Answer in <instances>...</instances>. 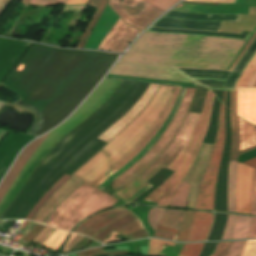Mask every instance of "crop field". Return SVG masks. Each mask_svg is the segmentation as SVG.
Instances as JSON below:
<instances>
[{
    "label": "crop field",
    "instance_id": "obj_3",
    "mask_svg": "<svg viewBox=\"0 0 256 256\" xmlns=\"http://www.w3.org/2000/svg\"><path fill=\"white\" fill-rule=\"evenodd\" d=\"M116 202L110 195L83 182L55 209L45 224L70 231L84 217Z\"/></svg>",
    "mask_w": 256,
    "mask_h": 256
},
{
    "label": "crop field",
    "instance_id": "obj_48",
    "mask_svg": "<svg viewBox=\"0 0 256 256\" xmlns=\"http://www.w3.org/2000/svg\"><path fill=\"white\" fill-rule=\"evenodd\" d=\"M248 238H256V218L252 217Z\"/></svg>",
    "mask_w": 256,
    "mask_h": 256
},
{
    "label": "crop field",
    "instance_id": "obj_31",
    "mask_svg": "<svg viewBox=\"0 0 256 256\" xmlns=\"http://www.w3.org/2000/svg\"><path fill=\"white\" fill-rule=\"evenodd\" d=\"M193 213H194V211H187L186 212L183 227H182L181 233L178 236L177 240L187 241L188 235H189V230H190L192 219H193Z\"/></svg>",
    "mask_w": 256,
    "mask_h": 256
},
{
    "label": "crop field",
    "instance_id": "obj_59",
    "mask_svg": "<svg viewBox=\"0 0 256 256\" xmlns=\"http://www.w3.org/2000/svg\"><path fill=\"white\" fill-rule=\"evenodd\" d=\"M2 105H3V103L0 102V108L2 107ZM2 132H3V131L0 130V134H1ZM8 132H9L8 130H5V131L0 135V140H1V138H2L6 133H8Z\"/></svg>",
    "mask_w": 256,
    "mask_h": 256
},
{
    "label": "crop field",
    "instance_id": "obj_6",
    "mask_svg": "<svg viewBox=\"0 0 256 256\" xmlns=\"http://www.w3.org/2000/svg\"><path fill=\"white\" fill-rule=\"evenodd\" d=\"M194 90L195 89H191V88L186 89L184 96L181 100V103L169 127L166 129L163 135L159 138L156 144L139 161H137L134 165H132L129 169H127L124 173H122L119 177H117L114 180V183L112 186L113 189L121 187L125 185L127 182L134 179L146 168H148L151 165V163L161 155V153L163 152L167 144L173 138L178 127L180 126L187 112Z\"/></svg>",
    "mask_w": 256,
    "mask_h": 256
},
{
    "label": "crop field",
    "instance_id": "obj_11",
    "mask_svg": "<svg viewBox=\"0 0 256 256\" xmlns=\"http://www.w3.org/2000/svg\"><path fill=\"white\" fill-rule=\"evenodd\" d=\"M141 31L125 24L120 18L98 49L122 52Z\"/></svg>",
    "mask_w": 256,
    "mask_h": 256
},
{
    "label": "crop field",
    "instance_id": "obj_54",
    "mask_svg": "<svg viewBox=\"0 0 256 256\" xmlns=\"http://www.w3.org/2000/svg\"><path fill=\"white\" fill-rule=\"evenodd\" d=\"M99 2H100V0H91L90 3H89V7H92V8L96 9Z\"/></svg>",
    "mask_w": 256,
    "mask_h": 256
},
{
    "label": "crop field",
    "instance_id": "obj_40",
    "mask_svg": "<svg viewBox=\"0 0 256 256\" xmlns=\"http://www.w3.org/2000/svg\"><path fill=\"white\" fill-rule=\"evenodd\" d=\"M234 220H235V216L228 215L227 224H226V228H225V232L222 240L230 239L233 225H234Z\"/></svg>",
    "mask_w": 256,
    "mask_h": 256
},
{
    "label": "crop field",
    "instance_id": "obj_8",
    "mask_svg": "<svg viewBox=\"0 0 256 256\" xmlns=\"http://www.w3.org/2000/svg\"><path fill=\"white\" fill-rule=\"evenodd\" d=\"M112 10L126 23L143 30L151 21L165 12L143 0H109Z\"/></svg>",
    "mask_w": 256,
    "mask_h": 256
},
{
    "label": "crop field",
    "instance_id": "obj_37",
    "mask_svg": "<svg viewBox=\"0 0 256 256\" xmlns=\"http://www.w3.org/2000/svg\"><path fill=\"white\" fill-rule=\"evenodd\" d=\"M246 241L232 242L228 253L225 256H240Z\"/></svg>",
    "mask_w": 256,
    "mask_h": 256
},
{
    "label": "crop field",
    "instance_id": "obj_64",
    "mask_svg": "<svg viewBox=\"0 0 256 256\" xmlns=\"http://www.w3.org/2000/svg\"><path fill=\"white\" fill-rule=\"evenodd\" d=\"M254 87H256V84H255V86Z\"/></svg>",
    "mask_w": 256,
    "mask_h": 256
},
{
    "label": "crop field",
    "instance_id": "obj_20",
    "mask_svg": "<svg viewBox=\"0 0 256 256\" xmlns=\"http://www.w3.org/2000/svg\"><path fill=\"white\" fill-rule=\"evenodd\" d=\"M162 167L158 166L155 170H153L149 175H147L145 178L141 179V178H136L133 181H131L129 184H127L125 187H123L121 190H119L117 193H115L122 201H126L128 198H130L132 195H134L135 193H137L139 190H141L143 187H145L146 185L150 186L151 185L149 183H147L146 181L155 173L157 172L159 169H161ZM156 174V173H155ZM149 187H145L143 188L141 191H139L137 194H135L134 196H132L130 199H128L126 202H130L131 200H133L135 197H137L139 194H141L143 191H145L146 189H148Z\"/></svg>",
    "mask_w": 256,
    "mask_h": 256
},
{
    "label": "crop field",
    "instance_id": "obj_26",
    "mask_svg": "<svg viewBox=\"0 0 256 256\" xmlns=\"http://www.w3.org/2000/svg\"><path fill=\"white\" fill-rule=\"evenodd\" d=\"M189 187L190 184L181 181V183L176 188L169 205L186 207Z\"/></svg>",
    "mask_w": 256,
    "mask_h": 256
},
{
    "label": "crop field",
    "instance_id": "obj_15",
    "mask_svg": "<svg viewBox=\"0 0 256 256\" xmlns=\"http://www.w3.org/2000/svg\"><path fill=\"white\" fill-rule=\"evenodd\" d=\"M49 134V133H48ZM44 135L37 139L32 144L28 145L23 152L20 154L12 168L10 169L9 173L3 180V182L0 185V200L4 197L14 180L16 179L17 175L31 156V154L35 151V149L40 145V143L46 138L48 135Z\"/></svg>",
    "mask_w": 256,
    "mask_h": 256
},
{
    "label": "crop field",
    "instance_id": "obj_33",
    "mask_svg": "<svg viewBox=\"0 0 256 256\" xmlns=\"http://www.w3.org/2000/svg\"><path fill=\"white\" fill-rule=\"evenodd\" d=\"M164 211L165 209H162V208H154L149 211L148 213L149 224L154 231Z\"/></svg>",
    "mask_w": 256,
    "mask_h": 256
},
{
    "label": "crop field",
    "instance_id": "obj_58",
    "mask_svg": "<svg viewBox=\"0 0 256 256\" xmlns=\"http://www.w3.org/2000/svg\"><path fill=\"white\" fill-rule=\"evenodd\" d=\"M159 229H163V230H167V231H170V232H173V233H178V230H174V229H170V228H166V227H163V226H159L158 227Z\"/></svg>",
    "mask_w": 256,
    "mask_h": 256
},
{
    "label": "crop field",
    "instance_id": "obj_60",
    "mask_svg": "<svg viewBox=\"0 0 256 256\" xmlns=\"http://www.w3.org/2000/svg\"><path fill=\"white\" fill-rule=\"evenodd\" d=\"M28 223H29V222L25 221V223H24L19 229L24 228L25 226L28 225Z\"/></svg>",
    "mask_w": 256,
    "mask_h": 256
},
{
    "label": "crop field",
    "instance_id": "obj_14",
    "mask_svg": "<svg viewBox=\"0 0 256 256\" xmlns=\"http://www.w3.org/2000/svg\"><path fill=\"white\" fill-rule=\"evenodd\" d=\"M128 210L125 208H116L108 211H104L101 213H98L94 215L93 217L85 220L82 222L76 229L75 233L84 234L89 237L94 235L96 232H98L100 229H102L107 224L113 222L117 218L121 217L125 213H127Z\"/></svg>",
    "mask_w": 256,
    "mask_h": 256
},
{
    "label": "crop field",
    "instance_id": "obj_16",
    "mask_svg": "<svg viewBox=\"0 0 256 256\" xmlns=\"http://www.w3.org/2000/svg\"><path fill=\"white\" fill-rule=\"evenodd\" d=\"M237 115L256 125V88H238Z\"/></svg>",
    "mask_w": 256,
    "mask_h": 256
},
{
    "label": "crop field",
    "instance_id": "obj_50",
    "mask_svg": "<svg viewBox=\"0 0 256 256\" xmlns=\"http://www.w3.org/2000/svg\"><path fill=\"white\" fill-rule=\"evenodd\" d=\"M185 1H197V2H206L210 3V1H217V0H185ZM236 0H227V1H218V2H211V3H235Z\"/></svg>",
    "mask_w": 256,
    "mask_h": 256
},
{
    "label": "crop field",
    "instance_id": "obj_4",
    "mask_svg": "<svg viewBox=\"0 0 256 256\" xmlns=\"http://www.w3.org/2000/svg\"><path fill=\"white\" fill-rule=\"evenodd\" d=\"M213 97L214 94L211 91H208L202 115L196 128L189 137L183 149L168 167V169L176 172L144 200L158 202L157 205L168 206L169 200L175 188L189 170L191 163L199 150L208 125Z\"/></svg>",
    "mask_w": 256,
    "mask_h": 256
},
{
    "label": "crop field",
    "instance_id": "obj_35",
    "mask_svg": "<svg viewBox=\"0 0 256 256\" xmlns=\"http://www.w3.org/2000/svg\"><path fill=\"white\" fill-rule=\"evenodd\" d=\"M238 147H239L238 134H232V150H231L230 160H237L238 155L256 148L255 146V147H251L246 150H243L241 152H238Z\"/></svg>",
    "mask_w": 256,
    "mask_h": 256
},
{
    "label": "crop field",
    "instance_id": "obj_29",
    "mask_svg": "<svg viewBox=\"0 0 256 256\" xmlns=\"http://www.w3.org/2000/svg\"><path fill=\"white\" fill-rule=\"evenodd\" d=\"M66 235L67 232L56 230L41 246L56 251Z\"/></svg>",
    "mask_w": 256,
    "mask_h": 256
},
{
    "label": "crop field",
    "instance_id": "obj_56",
    "mask_svg": "<svg viewBox=\"0 0 256 256\" xmlns=\"http://www.w3.org/2000/svg\"><path fill=\"white\" fill-rule=\"evenodd\" d=\"M255 81H256V72H255V74L253 75L251 81L248 83V86H247V87H253L254 84H255Z\"/></svg>",
    "mask_w": 256,
    "mask_h": 256
},
{
    "label": "crop field",
    "instance_id": "obj_44",
    "mask_svg": "<svg viewBox=\"0 0 256 256\" xmlns=\"http://www.w3.org/2000/svg\"><path fill=\"white\" fill-rule=\"evenodd\" d=\"M53 231L52 228L46 226L44 230L33 240V242L41 244Z\"/></svg>",
    "mask_w": 256,
    "mask_h": 256
},
{
    "label": "crop field",
    "instance_id": "obj_23",
    "mask_svg": "<svg viewBox=\"0 0 256 256\" xmlns=\"http://www.w3.org/2000/svg\"><path fill=\"white\" fill-rule=\"evenodd\" d=\"M184 213L185 211L167 209L159 224L179 230L183 223Z\"/></svg>",
    "mask_w": 256,
    "mask_h": 256
},
{
    "label": "crop field",
    "instance_id": "obj_43",
    "mask_svg": "<svg viewBox=\"0 0 256 256\" xmlns=\"http://www.w3.org/2000/svg\"><path fill=\"white\" fill-rule=\"evenodd\" d=\"M230 243L231 242L219 243L216 250L214 251V253L211 256H224L230 246Z\"/></svg>",
    "mask_w": 256,
    "mask_h": 256
},
{
    "label": "crop field",
    "instance_id": "obj_34",
    "mask_svg": "<svg viewBox=\"0 0 256 256\" xmlns=\"http://www.w3.org/2000/svg\"><path fill=\"white\" fill-rule=\"evenodd\" d=\"M139 230H142V227L141 225L139 224L138 220L136 221H133L123 227H120L116 230H114V232L124 236V235H127L129 233H133V232H136V231H139Z\"/></svg>",
    "mask_w": 256,
    "mask_h": 256
},
{
    "label": "crop field",
    "instance_id": "obj_22",
    "mask_svg": "<svg viewBox=\"0 0 256 256\" xmlns=\"http://www.w3.org/2000/svg\"><path fill=\"white\" fill-rule=\"evenodd\" d=\"M132 214V213H131ZM129 212L127 214H125L124 216H122L121 218H119L118 220L114 221L113 223H111L110 225L106 226L105 228H103L101 231H99L97 234H95L93 237V239L99 241V242H103V240L109 235L111 234L113 231V229H116L126 223H129L133 220L138 219L135 215H131Z\"/></svg>",
    "mask_w": 256,
    "mask_h": 256
},
{
    "label": "crop field",
    "instance_id": "obj_47",
    "mask_svg": "<svg viewBox=\"0 0 256 256\" xmlns=\"http://www.w3.org/2000/svg\"><path fill=\"white\" fill-rule=\"evenodd\" d=\"M230 120H231V129L232 133H238V122L237 116L230 112Z\"/></svg>",
    "mask_w": 256,
    "mask_h": 256
},
{
    "label": "crop field",
    "instance_id": "obj_49",
    "mask_svg": "<svg viewBox=\"0 0 256 256\" xmlns=\"http://www.w3.org/2000/svg\"><path fill=\"white\" fill-rule=\"evenodd\" d=\"M230 110H232L234 113H236V91H231Z\"/></svg>",
    "mask_w": 256,
    "mask_h": 256
},
{
    "label": "crop field",
    "instance_id": "obj_36",
    "mask_svg": "<svg viewBox=\"0 0 256 256\" xmlns=\"http://www.w3.org/2000/svg\"><path fill=\"white\" fill-rule=\"evenodd\" d=\"M161 244L172 245V246L175 245L173 243H169V242H165V241H161V240H153V239H151L150 245H149V253H148V255H150V256H159Z\"/></svg>",
    "mask_w": 256,
    "mask_h": 256
},
{
    "label": "crop field",
    "instance_id": "obj_17",
    "mask_svg": "<svg viewBox=\"0 0 256 256\" xmlns=\"http://www.w3.org/2000/svg\"><path fill=\"white\" fill-rule=\"evenodd\" d=\"M79 184L80 181L72 177L42 206V208L33 217L32 221L42 223L53 211V209L58 205V203L63 198H65L71 191H73Z\"/></svg>",
    "mask_w": 256,
    "mask_h": 256
},
{
    "label": "crop field",
    "instance_id": "obj_9",
    "mask_svg": "<svg viewBox=\"0 0 256 256\" xmlns=\"http://www.w3.org/2000/svg\"><path fill=\"white\" fill-rule=\"evenodd\" d=\"M110 74L161 79L168 81L190 82L170 67L138 65L117 62ZM192 83V82H190Z\"/></svg>",
    "mask_w": 256,
    "mask_h": 256
},
{
    "label": "crop field",
    "instance_id": "obj_63",
    "mask_svg": "<svg viewBox=\"0 0 256 256\" xmlns=\"http://www.w3.org/2000/svg\"><path fill=\"white\" fill-rule=\"evenodd\" d=\"M150 29H151V28H150ZM147 31H148V30H147ZM149 32H151V31H149ZM250 34H251V32L249 33V35L247 36V38L250 36ZM247 38H246V39H247ZM246 39H245V40H246Z\"/></svg>",
    "mask_w": 256,
    "mask_h": 256
},
{
    "label": "crop field",
    "instance_id": "obj_42",
    "mask_svg": "<svg viewBox=\"0 0 256 256\" xmlns=\"http://www.w3.org/2000/svg\"><path fill=\"white\" fill-rule=\"evenodd\" d=\"M45 227V225L38 224L33 230H31L23 239V241L31 242Z\"/></svg>",
    "mask_w": 256,
    "mask_h": 256
},
{
    "label": "crop field",
    "instance_id": "obj_32",
    "mask_svg": "<svg viewBox=\"0 0 256 256\" xmlns=\"http://www.w3.org/2000/svg\"><path fill=\"white\" fill-rule=\"evenodd\" d=\"M204 243L185 244L180 252L182 256H198ZM179 255V256H180Z\"/></svg>",
    "mask_w": 256,
    "mask_h": 256
},
{
    "label": "crop field",
    "instance_id": "obj_1",
    "mask_svg": "<svg viewBox=\"0 0 256 256\" xmlns=\"http://www.w3.org/2000/svg\"><path fill=\"white\" fill-rule=\"evenodd\" d=\"M244 41L145 32L120 60L226 70Z\"/></svg>",
    "mask_w": 256,
    "mask_h": 256
},
{
    "label": "crop field",
    "instance_id": "obj_24",
    "mask_svg": "<svg viewBox=\"0 0 256 256\" xmlns=\"http://www.w3.org/2000/svg\"><path fill=\"white\" fill-rule=\"evenodd\" d=\"M237 161H230L228 170V212L235 208V175Z\"/></svg>",
    "mask_w": 256,
    "mask_h": 256
},
{
    "label": "crop field",
    "instance_id": "obj_53",
    "mask_svg": "<svg viewBox=\"0 0 256 256\" xmlns=\"http://www.w3.org/2000/svg\"><path fill=\"white\" fill-rule=\"evenodd\" d=\"M243 164L245 165H248V166H251L253 168H256V158L252 159V160H249V161H246L244 162Z\"/></svg>",
    "mask_w": 256,
    "mask_h": 256
},
{
    "label": "crop field",
    "instance_id": "obj_45",
    "mask_svg": "<svg viewBox=\"0 0 256 256\" xmlns=\"http://www.w3.org/2000/svg\"><path fill=\"white\" fill-rule=\"evenodd\" d=\"M67 0H32L30 3L34 4H44V5H53L56 3L66 4Z\"/></svg>",
    "mask_w": 256,
    "mask_h": 256
},
{
    "label": "crop field",
    "instance_id": "obj_12",
    "mask_svg": "<svg viewBox=\"0 0 256 256\" xmlns=\"http://www.w3.org/2000/svg\"><path fill=\"white\" fill-rule=\"evenodd\" d=\"M253 169L238 162L236 177V212L250 214Z\"/></svg>",
    "mask_w": 256,
    "mask_h": 256
},
{
    "label": "crop field",
    "instance_id": "obj_5",
    "mask_svg": "<svg viewBox=\"0 0 256 256\" xmlns=\"http://www.w3.org/2000/svg\"><path fill=\"white\" fill-rule=\"evenodd\" d=\"M106 78L109 79H118V80H127V81H137V82H146V83H155V84H165V85H174V86H185V87H192L195 88V84L189 83H177V82H168V81H160V80H153V79H144V78H134V77H123V76H113L108 75ZM150 84L148 89L145 93L141 96V98L136 102V104L119 120H117L114 124H112L108 129H106L98 138L108 142L113 136H115L125 125H127L149 102L155 91L157 90L159 85ZM186 88L182 87L180 94L177 98V101L166 121L163 123L161 128L159 129L158 133L152 138L149 144L140 151L133 159H131L125 166H123L118 172L114 175L109 177L103 184L99 187L104 188L108 185L112 180H114L117 176H119L122 172H124L127 168H129L132 164H134L137 160H139L157 141V139L161 136L165 128L167 127L168 123L170 122L171 118L173 117L179 102L183 96V93Z\"/></svg>",
    "mask_w": 256,
    "mask_h": 256
},
{
    "label": "crop field",
    "instance_id": "obj_39",
    "mask_svg": "<svg viewBox=\"0 0 256 256\" xmlns=\"http://www.w3.org/2000/svg\"><path fill=\"white\" fill-rule=\"evenodd\" d=\"M241 256H256V240L247 241Z\"/></svg>",
    "mask_w": 256,
    "mask_h": 256
},
{
    "label": "crop field",
    "instance_id": "obj_28",
    "mask_svg": "<svg viewBox=\"0 0 256 256\" xmlns=\"http://www.w3.org/2000/svg\"><path fill=\"white\" fill-rule=\"evenodd\" d=\"M106 4V1L105 0H101L100 2V5L98 7V9L96 10V12L94 13L93 17L91 18V20L89 21L87 27L85 28L82 36L80 37L76 47H79V48H82L83 45L85 44L87 38L89 37L94 25L97 23L103 9H104V6Z\"/></svg>",
    "mask_w": 256,
    "mask_h": 256
},
{
    "label": "crop field",
    "instance_id": "obj_19",
    "mask_svg": "<svg viewBox=\"0 0 256 256\" xmlns=\"http://www.w3.org/2000/svg\"><path fill=\"white\" fill-rule=\"evenodd\" d=\"M181 87H178L177 92L171 102V104L169 105L166 113L164 114V116L162 117V119L160 120V122L158 123V125L154 128V130L146 137V139L127 157L125 158L121 163H119L116 167H114L112 170H110L106 175L109 177L111 176L113 173H115L117 170H119L123 165H125L132 157H134L149 141L150 139L157 133L159 127L162 125V123L165 121V119L168 117L174 103L175 100L179 94ZM161 128V127H160ZM108 177L104 176L102 177L99 181H97L95 184H93L94 186H98L99 184H101L103 181H105Z\"/></svg>",
    "mask_w": 256,
    "mask_h": 256
},
{
    "label": "crop field",
    "instance_id": "obj_13",
    "mask_svg": "<svg viewBox=\"0 0 256 256\" xmlns=\"http://www.w3.org/2000/svg\"><path fill=\"white\" fill-rule=\"evenodd\" d=\"M30 44L0 38V82Z\"/></svg>",
    "mask_w": 256,
    "mask_h": 256
},
{
    "label": "crop field",
    "instance_id": "obj_62",
    "mask_svg": "<svg viewBox=\"0 0 256 256\" xmlns=\"http://www.w3.org/2000/svg\"><path fill=\"white\" fill-rule=\"evenodd\" d=\"M170 12H171V11H170ZM170 12H168L167 14H169ZM167 14H166V15H167ZM166 15H164V16H166ZM164 16H163V17H164ZM163 17H162V18H163ZM162 18H160L157 22H159ZM157 22H156V23H157ZM156 23H155V24H156ZM155 24H154V25H155ZM154 25H153V26H154Z\"/></svg>",
    "mask_w": 256,
    "mask_h": 256
},
{
    "label": "crop field",
    "instance_id": "obj_61",
    "mask_svg": "<svg viewBox=\"0 0 256 256\" xmlns=\"http://www.w3.org/2000/svg\"><path fill=\"white\" fill-rule=\"evenodd\" d=\"M226 92L224 91L223 104L225 105Z\"/></svg>",
    "mask_w": 256,
    "mask_h": 256
},
{
    "label": "crop field",
    "instance_id": "obj_41",
    "mask_svg": "<svg viewBox=\"0 0 256 256\" xmlns=\"http://www.w3.org/2000/svg\"><path fill=\"white\" fill-rule=\"evenodd\" d=\"M251 212L256 215V169H254L253 183H252V199Z\"/></svg>",
    "mask_w": 256,
    "mask_h": 256
},
{
    "label": "crop field",
    "instance_id": "obj_18",
    "mask_svg": "<svg viewBox=\"0 0 256 256\" xmlns=\"http://www.w3.org/2000/svg\"><path fill=\"white\" fill-rule=\"evenodd\" d=\"M212 214L195 212L188 241L205 240L210 229Z\"/></svg>",
    "mask_w": 256,
    "mask_h": 256
},
{
    "label": "crop field",
    "instance_id": "obj_65",
    "mask_svg": "<svg viewBox=\"0 0 256 256\" xmlns=\"http://www.w3.org/2000/svg\"><path fill=\"white\" fill-rule=\"evenodd\" d=\"M108 1V0H107ZM121 1V0H120Z\"/></svg>",
    "mask_w": 256,
    "mask_h": 256
},
{
    "label": "crop field",
    "instance_id": "obj_51",
    "mask_svg": "<svg viewBox=\"0 0 256 256\" xmlns=\"http://www.w3.org/2000/svg\"><path fill=\"white\" fill-rule=\"evenodd\" d=\"M256 33L253 35V37L250 39V41L248 42V44L245 46V48L242 50V52L240 53V55L237 57V59L235 60V62L232 64V66L229 68V70L231 71V69L234 67V65L237 63V61L239 60V58L242 56V54L245 52V50L247 49V47L250 45V43L252 42V40L255 38Z\"/></svg>",
    "mask_w": 256,
    "mask_h": 256
},
{
    "label": "crop field",
    "instance_id": "obj_2",
    "mask_svg": "<svg viewBox=\"0 0 256 256\" xmlns=\"http://www.w3.org/2000/svg\"><path fill=\"white\" fill-rule=\"evenodd\" d=\"M177 87L160 85L148 105L72 176L91 183L129 155L157 125ZM108 170L97 178L100 179ZM91 183V185L93 184Z\"/></svg>",
    "mask_w": 256,
    "mask_h": 256
},
{
    "label": "crop field",
    "instance_id": "obj_30",
    "mask_svg": "<svg viewBox=\"0 0 256 256\" xmlns=\"http://www.w3.org/2000/svg\"><path fill=\"white\" fill-rule=\"evenodd\" d=\"M256 71V56L253 58V60L250 62V64L247 66V68L242 73L240 79L237 81L235 85V89L237 87H246L247 83L249 82L250 78Z\"/></svg>",
    "mask_w": 256,
    "mask_h": 256
},
{
    "label": "crop field",
    "instance_id": "obj_57",
    "mask_svg": "<svg viewBox=\"0 0 256 256\" xmlns=\"http://www.w3.org/2000/svg\"><path fill=\"white\" fill-rule=\"evenodd\" d=\"M255 54H256V52L254 53V55H255ZM254 55H253V56H254ZM253 56L251 57V59L253 58ZM251 59L248 61V63L251 61ZM248 63L245 65L244 69L246 68V66L248 65ZM244 69H243V70H244ZM243 70H242V72H243ZM177 71L180 72L179 70H177ZM242 72H241V73H242ZM180 73H181V72H180ZM241 73H240V75H241ZM230 74H231V73H230ZM240 75H239V76H240ZM229 76H230V75H229ZM228 78H229V77H228ZM212 79H213V78H212ZM227 80H228V79H227ZM192 81H193V80H192ZM195 83H196V82H195ZM201 86H202V85H201ZM209 89H216V88H209ZM233 89H234V88H233ZM217 90H223V89H217ZM226 91H230V90H226Z\"/></svg>",
    "mask_w": 256,
    "mask_h": 256
},
{
    "label": "crop field",
    "instance_id": "obj_55",
    "mask_svg": "<svg viewBox=\"0 0 256 256\" xmlns=\"http://www.w3.org/2000/svg\"><path fill=\"white\" fill-rule=\"evenodd\" d=\"M87 0H68L67 4L86 3Z\"/></svg>",
    "mask_w": 256,
    "mask_h": 256
},
{
    "label": "crop field",
    "instance_id": "obj_7",
    "mask_svg": "<svg viewBox=\"0 0 256 256\" xmlns=\"http://www.w3.org/2000/svg\"><path fill=\"white\" fill-rule=\"evenodd\" d=\"M224 111H225V106L221 103L218 132H217V136H216V140L214 143L210 160L207 164V167L205 169L204 175L201 180L195 208L213 210L215 181L217 177V172H218L221 154L223 150V144H224V134H225Z\"/></svg>",
    "mask_w": 256,
    "mask_h": 256
},
{
    "label": "crop field",
    "instance_id": "obj_21",
    "mask_svg": "<svg viewBox=\"0 0 256 256\" xmlns=\"http://www.w3.org/2000/svg\"><path fill=\"white\" fill-rule=\"evenodd\" d=\"M239 121L240 150L256 145V127L242 121Z\"/></svg>",
    "mask_w": 256,
    "mask_h": 256
},
{
    "label": "crop field",
    "instance_id": "obj_10",
    "mask_svg": "<svg viewBox=\"0 0 256 256\" xmlns=\"http://www.w3.org/2000/svg\"><path fill=\"white\" fill-rule=\"evenodd\" d=\"M199 115L200 114H197V113H191V112L188 113L180 130L175 135L173 140L170 142V144L168 145L164 153L159 157V159L153 165H151L145 172H143L140 175V177L143 178L148 173H150L154 168H156L158 165H161L167 168V166L179 153V151L187 141L188 137L192 133Z\"/></svg>",
    "mask_w": 256,
    "mask_h": 256
},
{
    "label": "crop field",
    "instance_id": "obj_46",
    "mask_svg": "<svg viewBox=\"0 0 256 256\" xmlns=\"http://www.w3.org/2000/svg\"><path fill=\"white\" fill-rule=\"evenodd\" d=\"M153 236L154 237H163V238L174 240L176 235L172 234V233H169V232H166V231L156 229Z\"/></svg>",
    "mask_w": 256,
    "mask_h": 256
},
{
    "label": "crop field",
    "instance_id": "obj_25",
    "mask_svg": "<svg viewBox=\"0 0 256 256\" xmlns=\"http://www.w3.org/2000/svg\"><path fill=\"white\" fill-rule=\"evenodd\" d=\"M71 176L64 175L57 183H55L51 189L39 200L31 212L26 216V220H31L35 213L40 209V207L64 184Z\"/></svg>",
    "mask_w": 256,
    "mask_h": 256
},
{
    "label": "crop field",
    "instance_id": "obj_27",
    "mask_svg": "<svg viewBox=\"0 0 256 256\" xmlns=\"http://www.w3.org/2000/svg\"><path fill=\"white\" fill-rule=\"evenodd\" d=\"M251 217L236 216L231 239L247 238Z\"/></svg>",
    "mask_w": 256,
    "mask_h": 256
},
{
    "label": "crop field",
    "instance_id": "obj_52",
    "mask_svg": "<svg viewBox=\"0 0 256 256\" xmlns=\"http://www.w3.org/2000/svg\"><path fill=\"white\" fill-rule=\"evenodd\" d=\"M11 0H0V16L5 10V8L8 6Z\"/></svg>",
    "mask_w": 256,
    "mask_h": 256
},
{
    "label": "crop field",
    "instance_id": "obj_38",
    "mask_svg": "<svg viewBox=\"0 0 256 256\" xmlns=\"http://www.w3.org/2000/svg\"><path fill=\"white\" fill-rule=\"evenodd\" d=\"M163 10L169 9L173 4H175L178 0H145Z\"/></svg>",
    "mask_w": 256,
    "mask_h": 256
}]
</instances>
